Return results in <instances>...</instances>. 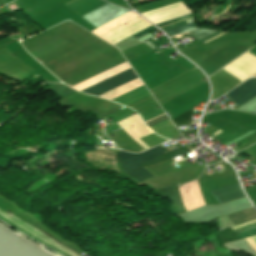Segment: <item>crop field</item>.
Wrapping results in <instances>:
<instances>
[{
	"label": "crop field",
	"instance_id": "obj_1",
	"mask_svg": "<svg viewBox=\"0 0 256 256\" xmlns=\"http://www.w3.org/2000/svg\"><path fill=\"white\" fill-rule=\"evenodd\" d=\"M166 152L168 151L161 145L147 150L141 154H131L120 151V161L124 171L131 177L140 181L152 177V175L139 164L158 157Z\"/></svg>",
	"mask_w": 256,
	"mask_h": 256
},
{
	"label": "crop field",
	"instance_id": "obj_2",
	"mask_svg": "<svg viewBox=\"0 0 256 256\" xmlns=\"http://www.w3.org/2000/svg\"><path fill=\"white\" fill-rule=\"evenodd\" d=\"M138 79L139 78L135 79L134 76L126 70L81 92L102 97Z\"/></svg>",
	"mask_w": 256,
	"mask_h": 256
},
{
	"label": "crop field",
	"instance_id": "obj_3",
	"mask_svg": "<svg viewBox=\"0 0 256 256\" xmlns=\"http://www.w3.org/2000/svg\"><path fill=\"white\" fill-rule=\"evenodd\" d=\"M126 12H128V10L106 3L80 17L97 28Z\"/></svg>",
	"mask_w": 256,
	"mask_h": 256
},
{
	"label": "crop field",
	"instance_id": "obj_4",
	"mask_svg": "<svg viewBox=\"0 0 256 256\" xmlns=\"http://www.w3.org/2000/svg\"><path fill=\"white\" fill-rule=\"evenodd\" d=\"M225 95L238 107L243 105L256 96V78L246 81Z\"/></svg>",
	"mask_w": 256,
	"mask_h": 256
},
{
	"label": "crop field",
	"instance_id": "obj_5",
	"mask_svg": "<svg viewBox=\"0 0 256 256\" xmlns=\"http://www.w3.org/2000/svg\"><path fill=\"white\" fill-rule=\"evenodd\" d=\"M219 204L244 197L238 183L211 192Z\"/></svg>",
	"mask_w": 256,
	"mask_h": 256
},
{
	"label": "crop field",
	"instance_id": "obj_6",
	"mask_svg": "<svg viewBox=\"0 0 256 256\" xmlns=\"http://www.w3.org/2000/svg\"><path fill=\"white\" fill-rule=\"evenodd\" d=\"M228 218L231 220V222L234 225L245 223L247 221L253 220L256 218V212L254 209L250 208L248 210H245L241 213L228 216Z\"/></svg>",
	"mask_w": 256,
	"mask_h": 256
},
{
	"label": "crop field",
	"instance_id": "obj_7",
	"mask_svg": "<svg viewBox=\"0 0 256 256\" xmlns=\"http://www.w3.org/2000/svg\"><path fill=\"white\" fill-rule=\"evenodd\" d=\"M193 37H195L198 41L216 33L215 31H211V30H207L204 28L198 29V30H194V31H190L189 32Z\"/></svg>",
	"mask_w": 256,
	"mask_h": 256
},
{
	"label": "crop field",
	"instance_id": "obj_8",
	"mask_svg": "<svg viewBox=\"0 0 256 256\" xmlns=\"http://www.w3.org/2000/svg\"><path fill=\"white\" fill-rule=\"evenodd\" d=\"M191 115H193V110L190 109L186 111L185 113L179 115L178 117L172 119L176 127L190 121Z\"/></svg>",
	"mask_w": 256,
	"mask_h": 256
},
{
	"label": "crop field",
	"instance_id": "obj_9",
	"mask_svg": "<svg viewBox=\"0 0 256 256\" xmlns=\"http://www.w3.org/2000/svg\"><path fill=\"white\" fill-rule=\"evenodd\" d=\"M152 114V113H151ZM165 113L163 112V110H160V111H158V112H156V113H154V114H152V115H150V116H148V117H146V118H144V121H145V123H147V122H149V121H151V120H153V119H156V118H158V117H160V116H162V115H164Z\"/></svg>",
	"mask_w": 256,
	"mask_h": 256
},
{
	"label": "crop field",
	"instance_id": "obj_10",
	"mask_svg": "<svg viewBox=\"0 0 256 256\" xmlns=\"http://www.w3.org/2000/svg\"><path fill=\"white\" fill-rule=\"evenodd\" d=\"M223 34H225V33H222V34H220V35H218V36H216V37H214V38H212V39H209V40H207V41H205V42H203V43H206V42H208V41H211V40H213V39H215V38H217V37H219V36H221V35H223Z\"/></svg>",
	"mask_w": 256,
	"mask_h": 256
}]
</instances>
